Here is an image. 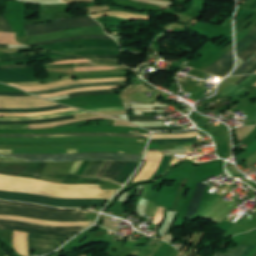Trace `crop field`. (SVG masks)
Instances as JSON below:
<instances>
[{
  "instance_id": "crop-field-1",
  "label": "crop field",
  "mask_w": 256,
  "mask_h": 256,
  "mask_svg": "<svg viewBox=\"0 0 256 256\" xmlns=\"http://www.w3.org/2000/svg\"><path fill=\"white\" fill-rule=\"evenodd\" d=\"M0 189L60 198L110 199L117 190H100L95 185H64L46 181L0 175Z\"/></svg>"
},
{
  "instance_id": "crop-field-2",
  "label": "crop field",
  "mask_w": 256,
  "mask_h": 256,
  "mask_svg": "<svg viewBox=\"0 0 256 256\" xmlns=\"http://www.w3.org/2000/svg\"><path fill=\"white\" fill-rule=\"evenodd\" d=\"M28 158V162H57L74 160H129L140 162L143 155L88 153V154H37V155H0ZM0 157L1 162H27V159Z\"/></svg>"
},
{
  "instance_id": "crop-field-3",
  "label": "crop field",
  "mask_w": 256,
  "mask_h": 256,
  "mask_svg": "<svg viewBox=\"0 0 256 256\" xmlns=\"http://www.w3.org/2000/svg\"><path fill=\"white\" fill-rule=\"evenodd\" d=\"M0 199L31 202L35 204L49 205L54 207H88L101 206L105 204V200L101 199H60L32 194L12 193L6 191H0Z\"/></svg>"
},
{
  "instance_id": "crop-field-4",
  "label": "crop field",
  "mask_w": 256,
  "mask_h": 256,
  "mask_svg": "<svg viewBox=\"0 0 256 256\" xmlns=\"http://www.w3.org/2000/svg\"><path fill=\"white\" fill-rule=\"evenodd\" d=\"M0 214L18 215L51 221H86V213L46 212L10 206H0Z\"/></svg>"
},
{
  "instance_id": "crop-field-5",
  "label": "crop field",
  "mask_w": 256,
  "mask_h": 256,
  "mask_svg": "<svg viewBox=\"0 0 256 256\" xmlns=\"http://www.w3.org/2000/svg\"><path fill=\"white\" fill-rule=\"evenodd\" d=\"M101 26L93 18L86 16L80 18L65 19L57 22L25 26L28 36L62 31L73 27Z\"/></svg>"
},
{
  "instance_id": "crop-field-6",
  "label": "crop field",
  "mask_w": 256,
  "mask_h": 256,
  "mask_svg": "<svg viewBox=\"0 0 256 256\" xmlns=\"http://www.w3.org/2000/svg\"><path fill=\"white\" fill-rule=\"evenodd\" d=\"M72 236L64 237H50L46 235H32L28 236V253L33 256L32 250L36 251L35 255L46 254L56 250L58 247L57 242L67 240Z\"/></svg>"
},
{
  "instance_id": "crop-field-7",
  "label": "crop field",
  "mask_w": 256,
  "mask_h": 256,
  "mask_svg": "<svg viewBox=\"0 0 256 256\" xmlns=\"http://www.w3.org/2000/svg\"><path fill=\"white\" fill-rule=\"evenodd\" d=\"M126 80V77L113 78V79H95V80H79L73 81L72 76L62 77V80H57L49 83H14L11 85L18 86L27 91H36V90H47L55 87H61L66 85L86 83V82H112V81H123Z\"/></svg>"
},
{
  "instance_id": "crop-field-8",
  "label": "crop field",
  "mask_w": 256,
  "mask_h": 256,
  "mask_svg": "<svg viewBox=\"0 0 256 256\" xmlns=\"http://www.w3.org/2000/svg\"><path fill=\"white\" fill-rule=\"evenodd\" d=\"M58 105L36 97H0V108H38Z\"/></svg>"
},
{
  "instance_id": "crop-field-9",
  "label": "crop field",
  "mask_w": 256,
  "mask_h": 256,
  "mask_svg": "<svg viewBox=\"0 0 256 256\" xmlns=\"http://www.w3.org/2000/svg\"><path fill=\"white\" fill-rule=\"evenodd\" d=\"M138 165L139 163L137 162L112 161L104 177L112 178L115 181L124 184Z\"/></svg>"
},
{
  "instance_id": "crop-field-10",
  "label": "crop field",
  "mask_w": 256,
  "mask_h": 256,
  "mask_svg": "<svg viewBox=\"0 0 256 256\" xmlns=\"http://www.w3.org/2000/svg\"><path fill=\"white\" fill-rule=\"evenodd\" d=\"M91 34L106 35L102 27L78 28V29L69 30L65 32L30 37L26 44H30L34 42H45V41L64 38V37H71V36H78V35H91Z\"/></svg>"
},
{
  "instance_id": "crop-field-11",
  "label": "crop field",
  "mask_w": 256,
  "mask_h": 256,
  "mask_svg": "<svg viewBox=\"0 0 256 256\" xmlns=\"http://www.w3.org/2000/svg\"><path fill=\"white\" fill-rule=\"evenodd\" d=\"M83 46L119 47V45L115 41L80 40V41L41 46L36 48L56 51L64 48L83 47Z\"/></svg>"
},
{
  "instance_id": "crop-field-12",
  "label": "crop field",
  "mask_w": 256,
  "mask_h": 256,
  "mask_svg": "<svg viewBox=\"0 0 256 256\" xmlns=\"http://www.w3.org/2000/svg\"><path fill=\"white\" fill-rule=\"evenodd\" d=\"M57 136H123L148 138V134H116V133H74V134H26V135H12L0 134V137H57Z\"/></svg>"
},
{
  "instance_id": "crop-field-13",
  "label": "crop field",
  "mask_w": 256,
  "mask_h": 256,
  "mask_svg": "<svg viewBox=\"0 0 256 256\" xmlns=\"http://www.w3.org/2000/svg\"><path fill=\"white\" fill-rule=\"evenodd\" d=\"M75 144H119L145 146L146 144L111 141H72V142H0V145H75Z\"/></svg>"
},
{
  "instance_id": "crop-field-14",
  "label": "crop field",
  "mask_w": 256,
  "mask_h": 256,
  "mask_svg": "<svg viewBox=\"0 0 256 256\" xmlns=\"http://www.w3.org/2000/svg\"><path fill=\"white\" fill-rule=\"evenodd\" d=\"M0 219H9V220H17V221H25L31 223H38L44 225H57V226H82V225H92L94 221L88 222H50L38 219H30V218H23L17 216H9V215H0Z\"/></svg>"
},
{
  "instance_id": "crop-field-15",
  "label": "crop field",
  "mask_w": 256,
  "mask_h": 256,
  "mask_svg": "<svg viewBox=\"0 0 256 256\" xmlns=\"http://www.w3.org/2000/svg\"><path fill=\"white\" fill-rule=\"evenodd\" d=\"M205 188L206 185L198 183L185 218L191 219L197 213Z\"/></svg>"
},
{
  "instance_id": "crop-field-16",
  "label": "crop field",
  "mask_w": 256,
  "mask_h": 256,
  "mask_svg": "<svg viewBox=\"0 0 256 256\" xmlns=\"http://www.w3.org/2000/svg\"><path fill=\"white\" fill-rule=\"evenodd\" d=\"M0 223L1 224H9V225H18V226H24V227H30V228L53 230V231L82 230V229H85L86 227H88V226H85V227H54V226L35 225V224H29V223H24V222L7 221V220H0Z\"/></svg>"
},
{
  "instance_id": "crop-field-17",
  "label": "crop field",
  "mask_w": 256,
  "mask_h": 256,
  "mask_svg": "<svg viewBox=\"0 0 256 256\" xmlns=\"http://www.w3.org/2000/svg\"><path fill=\"white\" fill-rule=\"evenodd\" d=\"M0 205L23 206V207H29V208L38 209V210L58 211V212H87V210H83V209H58V208H53L48 206L10 202V201H0Z\"/></svg>"
},
{
  "instance_id": "crop-field-18",
  "label": "crop field",
  "mask_w": 256,
  "mask_h": 256,
  "mask_svg": "<svg viewBox=\"0 0 256 256\" xmlns=\"http://www.w3.org/2000/svg\"><path fill=\"white\" fill-rule=\"evenodd\" d=\"M14 249L17 253L28 256L27 254V234L23 232H13Z\"/></svg>"
},
{
  "instance_id": "crop-field-19",
  "label": "crop field",
  "mask_w": 256,
  "mask_h": 256,
  "mask_svg": "<svg viewBox=\"0 0 256 256\" xmlns=\"http://www.w3.org/2000/svg\"><path fill=\"white\" fill-rule=\"evenodd\" d=\"M126 84V81L124 82H112V83H86V84H79V85H72L68 87H63L55 90H48V91H40V92H32L34 95H41V94H50V93H56L64 90H70V89H76V88H82V87H90V86H105V85H121Z\"/></svg>"
},
{
  "instance_id": "crop-field-20",
  "label": "crop field",
  "mask_w": 256,
  "mask_h": 256,
  "mask_svg": "<svg viewBox=\"0 0 256 256\" xmlns=\"http://www.w3.org/2000/svg\"><path fill=\"white\" fill-rule=\"evenodd\" d=\"M0 229H13V230H18V231L40 233V234H46V235H51V236L75 235L78 232H80V231H74V232H52V231H46V230L29 229V228H23V227H17V226H9V225H0Z\"/></svg>"
},
{
  "instance_id": "crop-field-21",
  "label": "crop field",
  "mask_w": 256,
  "mask_h": 256,
  "mask_svg": "<svg viewBox=\"0 0 256 256\" xmlns=\"http://www.w3.org/2000/svg\"><path fill=\"white\" fill-rule=\"evenodd\" d=\"M233 59V49L229 50L224 56L218 59L216 62L207 67L204 72L208 73H216L220 69H222L225 65H227Z\"/></svg>"
},
{
  "instance_id": "crop-field-22",
  "label": "crop field",
  "mask_w": 256,
  "mask_h": 256,
  "mask_svg": "<svg viewBox=\"0 0 256 256\" xmlns=\"http://www.w3.org/2000/svg\"><path fill=\"white\" fill-rule=\"evenodd\" d=\"M255 75H251L249 78H247L243 83H241L239 86L236 84H231L229 87H227L219 96L223 95H231V96H240L241 94L247 92L242 87L248 83L250 80H252Z\"/></svg>"
},
{
  "instance_id": "crop-field-23",
  "label": "crop field",
  "mask_w": 256,
  "mask_h": 256,
  "mask_svg": "<svg viewBox=\"0 0 256 256\" xmlns=\"http://www.w3.org/2000/svg\"><path fill=\"white\" fill-rule=\"evenodd\" d=\"M79 39H112V38H110L108 36H101V35L78 36V37L54 40V41L45 42V43L32 44V45H28V46L36 47V46H41V45H46V44L67 42V41H73V40H79Z\"/></svg>"
},
{
  "instance_id": "crop-field-24",
  "label": "crop field",
  "mask_w": 256,
  "mask_h": 256,
  "mask_svg": "<svg viewBox=\"0 0 256 256\" xmlns=\"http://www.w3.org/2000/svg\"><path fill=\"white\" fill-rule=\"evenodd\" d=\"M108 15L119 16V17L131 19V20H148L149 19V17L147 16H139V15H133V14H127V13H121V12H105L100 14H93L92 16L94 18H98V17H104Z\"/></svg>"
},
{
  "instance_id": "crop-field-25",
  "label": "crop field",
  "mask_w": 256,
  "mask_h": 256,
  "mask_svg": "<svg viewBox=\"0 0 256 256\" xmlns=\"http://www.w3.org/2000/svg\"><path fill=\"white\" fill-rule=\"evenodd\" d=\"M70 108L62 105L52 106L47 108H38V109H0V112H41V111H50L57 109Z\"/></svg>"
},
{
  "instance_id": "crop-field-26",
  "label": "crop field",
  "mask_w": 256,
  "mask_h": 256,
  "mask_svg": "<svg viewBox=\"0 0 256 256\" xmlns=\"http://www.w3.org/2000/svg\"><path fill=\"white\" fill-rule=\"evenodd\" d=\"M104 161H91L82 176L96 177Z\"/></svg>"
},
{
  "instance_id": "crop-field-27",
  "label": "crop field",
  "mask_w": 256,
  "mask_h": 256,
  "mask_svg": "<svg viewBox=\"0 0 256 256\" xmlns=\"http://www.w3.org/2000/svg\"><path fill=\"white\" fill-rule=\"evenodd\" d=\"M256 39V27L237 45V55Z\"/></svg>"
},
{
  "instance_id": "crop-field-28",
  "label": "crop field",
  "mask_w": 256,
  "mask_h": 256,
  "mask_svg": "<svg viewBox=\"0 0 256 256\" xmlns=\"http://www.w3.org/2000/svg\"><path fill=\"white\" fill-rule=\"evenodd\" d=\"M122 90H103V91H93V92H82V93H72L69 94L70 98L74 97H84V96H94V95H102V94H110V93H121Z\"/></svg>"
},
{
  "instance_id": "crop-field-29",
  "label": "crop field",
  "mask_w": 256,
  "mask_h": 256,
  "mask_svg": "<svg viewBox=\"0 0 256 256\" xmlns=\"http://www.w3.org/2000/svg\"><path fill=\"white\" fill-rule=\"evenodd\" d=\"M256 64V53L252 55L239 69H237L231 76L246 74L247 71Z\"/></svg>"
},
{
  "instance_id": "crop-field-30",
  "label": "crop field",
  "mask_w": 256,
  "mask_h": 256,
  "mask_svg": "<svg viewBox=\"0 0 256 256\" xmlns=\"http://www.w3.org/2000/svg\"><path fill=\"white\" fill-rule=\"evenodd\" d=\"M157 249H151L148 247H137L134 248L130 254L134 256H152Z\"/></svg>"
},
{
  "instance_id": "crop-field-31",
  "label": "crop field",
  "mask_w": 256,
  "mask_h": 256,
  "mask_svg": "<svg viewBox=\"0 0 256 256\" xmlns=\"http://www.w3.org/2000/svg\"><path fill=\"white\" fill-rule=\"evenodd\" d=\"M173 159L172 156H164L163 164L159 171L155 174V176L152 179H156L158 176L164 174L169 167H171L170 162Z\"/></svg>"
},
{
  "instance_id": "crop-field-32",
  "label": "crop field",
  "mask_w": 256,
  "mask_h": 256,
  "mask_svg": "<svg viewBox=\"0 0 256 256\" xmlns=\"http://www.w3.org/2000/svg\"><path fill=\"white\" fill-rule=\"evenodd\" d=\"M16 34L0 32V43L3 44H18L14 37Z\"/></svg>"
},
{
  "instance_id": "crop-field-33",
  "label": "crop field",
  "mask_w": 256,
  "mask_h": 256,
  "mask_svg": "<svg viewBox=\"0 0 256 256\" xmlns=\"http://www.w3.org/2000/svg\"><path fill=\"white\" fill-rule=\"evenodd\" d=\"M254 52H256V41L253 42L248 48H246L240 55L237 57L241 58L242 60L248 59Z\"/></svg>"
},
{
  "instance_id": "crop-field-34",
  "label": "crop field",
  "mask_w": 256,
  "mask_h": 256,
  "mask_svg": "<svg viewBox=\"0 0 256 256\" xmlns=\"http://www.w3.org/2000/svg\"><path fill=\"white\" fill-rule=\"evenodd\" d=\"M63 56H69V55H64V54H59L51 57H41L29 61H16V62H8V63H0V66L4 65H10V64H22V63H28V62H34V61H41V60H47V59H53V58H58V57H63Z\"/></svg>"
},
{
  "instance_id": "crop-field-35",
  "label": "crop field",
  "mask_w": 256,
  "mask_h": 256,
  "mask_svg": "<svg viewBox=\"0 0 256 256\" xmlns=\"http://www.w3.org/2000/svg\"><path fill=\"white\" fill-rule=\"evenodd\" d=\"M80 50H110V51H120V48H101V47H90V48H73V49H65L57 52L65 53L71 51H80Z\"/></svg>"
},
{
  "instance_id": "crop-field-36",
  "label": "crop field",
  "mask_w": 256,
  "mask_h": 256,
  "mask_svg": "<svg viewBox=\"0 0 256 256\" xmlns=\"http://www.w3.org/2000/svg\"><path fill=\"white\" fill-rule=\"evenodd\" d=\"M158 144H166V143H181V142H198L196 137L188 138V139H168V140H156Z\"/></svg>"
},
{
  "instance_id": "crop-field-37",
  "label": "crop field",
  "mask_w": 256,
  "mask_h": 256,
  "mask_svg": "<svg viewBox=\"0 0 256 256\" xmlns=\"http://www.w3.org/2000/svg\"><path fill=\"white\" fill-rule=\"evenodd\" d=\"M127 73L122 74H110V75H89V76H75L77 79H92V78H111V77H120L126 76Z\"/></svg>"
},
{
  "instance_id": "crop-field-38",
  "label": "crop field",
  "mask_w": 256,
  "mask_h": 256,
  "mask_svg": "<svg viewBox=\"0 0 256 256\" xmlns=\"http://www.w3.org/2000/svg\"><path fill=\"white\" fill-rule=\"evenodd\" d=\"M71 118H75V116L59 118V119H52V120H44V121H33V122H0V124H35V123H46V122L71 119Z\"/></svg>"
},
{
  "instance_id": "crop-field-39",
  "label": "crop field",
  "mask_w": 256,
  "mask_h": 256,
  "mask_svg": "<svg viewBox=\"0 0 256 256\" xmlns=\"http://www.w3.org/2000/svg\"><path fill=\"white\" fill-rule=\"evenodd\" d=\"M120 52H109V51H91V52H72L66 53L71 55H83V54H104V55H119Z\"/></svg>"
},
{
  "instance_id": "crop-field-40",
  "label": "crop field",
  "mask_w": 256,
  "mask_h": 256,
  "mask_svg": "<svg viewBox=\"0 0 256 256\" xmlns=\"http://www.w3.org/2000/svg\"><path fill=\"white\" fill-rule=\"evenodd\" d=\"M129 121H155V116H128Z\"/></svg>"
},
{
  "instance_id": "crop-field-41",
  "label": "crop field",
  "mask_w": 256,
  "mask_h": 256,
  "mask_svg": "<svg viewBox=\"0 0 256 256\" xmlns=\"http://www.w3.org/2000/svg\"><path fill=\"white\" fill-rule=\"evenodd\" d=\"M53 54H59V53L51 52V53L40 54V55H34V56H28V57H22V58H4V59H0V61H5V60H10V61H15V60H28V59H30V58L41 57V56H45V55H53Z\"/></svg>"
},
{
  "instance_id": "crop-field-42",
  "label": "crop field",
  "mask_w": 256,
  "mask_h": 256,
  "mask_svg": "<svg viewBox=\"0 0 256 256\" xmlns=\"http://www.w3.org/2000/svg\"><path fill=\"white\" fill-rule=\"evenodd\" d=\"M0 31L13 32L12 28L10 27L6 19L0 18Z\"/></svg>"
},
{
  "instance_id": "crop-field-43",
  "label": "crop field",
  "mask_w": 256,
  "mask_h": 256,
  "mask_svg": "<svg viewBox=\"0 0 256 256\" xmlns=\"http://www.w3.org/2000/svg\"><path fill=\"white\" fill-rule=\"evenodd\" d=\"M116 68H108V67H81L75 68V71H96V70H110Z\"/></svg>"
},
{
  "instance_id": "crop-field-44",
  "label": "crop field",
  "mask_w": 256,
  "mask_h": 256,
  "mask_svg": "<svg viewBox=\"0 0 256 256\" xmlns=\"http://www.w3.org/2000/svg\"><path fill=\"white\" fill-rule=\"evenodd\" d=\"M232 68H233V60L226 67H224L222 70L217 72L215 75L224 77L232 70Z\"/></svg>"
},
{
  "instance_id": "crop-field-45",
  "label": "crop field",
  "mask_w": 256,
  "mask_h": 256,
  "mask_svg": "<svg viewBox=\"0 0 256 256\" xmlns=\"http://www.w3.org/2000/svg\"><path fill=\"white\" fill-rule=\"evenodd\" d=\"M246 246L238 245L234 250L231 251L229 256H241Z\"/></svg>"
},
{
  "instance_id": "crop-field-46",
  "label": "crop field",
  "mask_w": 256,
  "mask_h": 256,
  "mask_svg": "<svg viewBox=\"0 0 256 256\" xmlns=\"http://www.w3.org/2000/svg\"><path fill=\"white\" fill-rule=\"evenodd\" d=\"M29 125H0V129H27Z\"/></svg>"
},
{
  "instance_id": "crop-field-47",
  "label": "crop field",
  "mask_w": 256,
  "mask_h": 256,
  "mask_svg": "<svg viewBox=\"0 0 256 256\" xmlns=\"http://www.w3.org/2000/svg\"><path fill=\"white\" fill-rule=\"evenodd\" d=\"M149 130H169V131H182V127H168V128H147Z\"/></svg>"
},
{
  "instance_id": "crop-field-48",
  "label": "crop field",
  "mask_w": 256,
  "mask_h": 256,
  "mask_svg": "<svg viewBox=\"0 0 256 256\" xmlns=\"http://www.w3.org/2000/svg\"><path fill=\"white\" fill-rule=\"evenodd\" d=\"M111 161H105L104 165L102 166L100 172L98 173L97 177H103L104 173L106 172L108 166L110 165Z\"/></svg>"
},
{
  "instance_id": "crop-field-49",
  "label": "crop field",
  "mask_w": 256,
  "mask_h": 256,
  "mask_svg": "<svg viewBox=\"0 0 256 256\" xmlns=\"http://www.w3.org/2000/svg\"><path fill=\"white\" fill-rule=\"evenodd\" d=\"M81 57L86 58H110V59H117L118 56H103V55H83Z\"/></svg>"
},
{
  "instance_id": "crop-field-50",
  "label": "crop field",
  "mask_w": 256,
  "mask_h": 256,
  "mask_svg": "<svg viewBox=\"0 0 256 256\" xmlns=\"http://www.w3.org/2000/svg\"><path fill=\"white\" fill-rule=\"evenodd\" d=\"M20 53H0V57H22Z\"/></svg>"
},
{
  "instance_id": "crop-field-51",
  "label": "crop field",
  "mask_w": 256,
  "mask_h": 256,
  "mask_svg": "<svg viewBox=\"0 0 256 256\" xmlns=\"http://www.w3.org/2000/svg\"><path fill=\"white\" fill-rule=\"evenodd\" d=\"M0 95H10V96H31L26 92H19V93H0Z\"/></svg>"
},
{
  "instance_id": "crop-field-52",
  "label": "crop field",
  "mask_w": 256,
  "mask_h": 256,
  "mask_svg": "<svg viewBox=\"0 0 256 256\" xmlns=\"http://www.w3.org/2000/svg\"><path fill=\"white\" fill-rule=\"evenodd\" d=\"M22 67H29V65L25 64V65L4 66V67H0V69H11V68H22Z\"/></svg>"
},
{
  "instance_id": "crop-field-53",
  "label": "crop field",
  "mask_w": 256,
  "mask_h": 256,
  "mask_svg": "<svg viewBox=\"0 0 256 256\" xmlns=\"http://www.w3.org/2000/svg\"><path fill=\"white\" fill-rule=\"evenodd\" d=\"M82 161H78V162H75L74 166L72 167V169L70 170L71 173H74L78 170V168L80 167Z\"/></svg>"
},
{
  "instance_id": "crop-field-54",
  "label": "crop field",
  "mask_w": 256,
  "mask_h": 256,
  "mask_svg": "<svg viewBox=\"0 0 256 256\" xmlns=\"http://www.w3.org/2000/svg\"><path fill=\"white\" fill-rule=\"evenodd\" d=\"M75 59H83V58L69 56V57H63V58L55 59V61H60V60H75Z\"/></svg>"
},
{
  "instance_id": "crop-field-55",
  "label": "crop field",
  "mask_w": 256,
  "mask_h": 256,
  "mask_svg": "<svg viewBox=\"0 0 256 256\" xmlns=\"http://www.w3.org/2000/svg\"><path fill=\"white\" fill-rule=\"evenodd\" d=\"M254 249V246L249 245L247 249L244 251L242 256H248V254Z\"/></svg>"
},
{
  "instance_id": "crop-field-56",
  "label": "crop field",
  "mask_w": 256,
  "mask_h": 256,
  "mask_svg": "<svg viewBox=\"0 0 256 256\" xmlns=\"http://www.w3.org/2000/svg\"><path fill=\"white\" fill-rule=\"evenodd\" d=\"M90 62H115L117 63L116 60H94V59H88Z\"/></svg>"
},
{
  "instance_id": "crop-field-57",
  "label": "crop field",
  "mask_w": 256,
  "mask_h": 256,
  "mask_svg": "<svg viewBox=\"0 0 256 256\" xmlns=\"http://www.w3.org/2000/svg\"><path fill=\"white\" fill-rule=\"evenodd\" d=\"M95 65H108V66H119V64H113V63H93Z\"/></svg>"
},
{
  "instance_id": "crop-field-58",
  "label": "crop field",
  "mask_w": 256,
  "mask_h": 256,
  "mask_svg": "<svg viewBox=\"0 0 256 256\" xmlns=\"http://www.w3.org/2000/svg\"><path fill=\"white\" fill-rule=\"evenodd\" d=\"M79 66H95V65H92L91 63H79V64H75V67H79Z\"/></svg>"
},
{
  "instance_id": "crop-field-59",
  "label": "crop field",
  "mask_w": 256,
  "mask_h": 256,
  "mask_svg": "<svg viewBox=\"0 0 256 256\" xmlns=\"http://www.w3.org/2000/svg\"><path fill=\"white\" fill-rule=\"evenodd\" d=\"M254 83H256V78H254L251 82H249L246 86H244V88H249L250 86H252Z\"/></svg>"
},
{
  "instance_id": "crop-field-60",
  "label": "crop field",
  "mask_w": 256,
  "mask_h": 256,
  "mask_svg": "<svg viewBox=\"0 0 256 256\" xmlns=\"http://www.w3.org/2000/svg\"><path fill=\"white\" fill-rule=\"evenodd\" d=\"M145 165V163H143V165H142V167H141V169L143 168V166ZM140 169V170H141ZM140 170L135 174V176L130 180V182L127 184V186H129L130 187V185H131V183H132V181H133V179L136 177V175L140 172Z\"/></svg>"
},
{
  "instance_id": "crop-field-61",
  "label": "crop field",
  "mask_w": 256,
  "mask_h": 256,
  "mask_svg": "<svg viewBox=\"0 0 256 256\" xmlns=\"http://www.w3.org/2000/svg\"><path fill=\"white\" fill-rule=\"evenodd\" d=\"M255 70H256V65L252 67L247 74H253Z\"/></svg>"
},
{
  "instance_id": "crop-field-62",
  "label": "crop field",
  "mask_w": 256,
  "mask_h": 256,
  "mask_svg": "<svg viewBox=\"0 0 256 256\" xmlns=\"http://www.w3.org/2000/svg\"><path fill=\"white\" fill-rule=\"evenodd\" d=\"M250 76V75H248ZM248 76H244L243 78H241L238 82H236V84H240L241 82H243Z\"/></svg>"
},
{
  "instance_id": "crop-field-63",
  "label": "crop field",
  "mask_w": 256,
  "mask_h": 256,
  "mask_svg": "<svg viewBox=\"0 0 256 256\" xmlns=\"http://www.w3.org/2000/svg\"><path fill=\"white\" fill-rule=\"evenodd\" d=\"M170 1L182 2V3H187L188 2V0H170Z\"/></svg>"
},
{
  "instance_id": "crop-field-64",
  "label": "crop field",
  "mask_w": 256,
  "mask_h": 256,
  "mask_svg": "<svg viewBox=\"0 0 256 256\" xmlns=\"http://www.w3.org/2000/svg\"><path fill=\"white\" fill-rule=\"evenodd\" d=\"M29 50H37V49H34V48H31V49H18V52H21V51H29Z\"/></svg>"
},
{
  "instance_id": "crop-field-65",
  "label": "crop field",
  "mask_w": 256,
  "mask_h": 256,
  "mask_svg": "<svg viewBox=\"0 0 256 256\" xmlns=\"http://www.w3.org/2000/svg\"><path fill=\"white\" fill-rule=\"evenodd\" d=\"M229 252H230V250L226 254L219 252L217 256H227L229 254Z\"/></svg>"
},
{
  "instance_id": "crop-field-66",
  "label": "crop field",
  "mask_w": 256,
  "mask_h": 256,
  "mask_svg": "<svg viewBox=\"0 0 256 256\" xmlns=\"http://www.w3.org/2000/svg\"><path fill=\"white\" fill-rule=\"evenodd\" d=\"M249 121H256V115L252 117Z\"/></svg>"
},
{
  "instance_id": "crop-field-67",
  "label": "crop field",
  "mask_w": 256,
  "mask_h": 256,
  "mask_svg": "<svg viewBox=\"0 0 256 256\" xmlns=\"http://www.w3.org/2000/svg\"><path fill=\"white\" fill-rule=\"evenodd\" d=\"M0 48H8V45H0Z\"/></svg>"
},
{
  "instance_id": "crop-field-68",
  "label": "crop field",
  "mask_w": 256,
  "mask_h": 256,
  "mask_svg": "<svg viewBox=\"0 0 256 256\" xmlns=\"http://www.w3.org/2000/svg\"><path fill=\"white\" fill-rule=\"evenodd\" d=\"M254 85H256V84H254Z\"/></svg>"
},
{
  "instance_id": "crop-field-69",
  "label": "crop field",
  "mask_w": 256,
  "mask_h": 256,
  "mask_svg": "<svg viewBox=\"0 0 256 256\" xmlns=\"http://www.w3.org/2000/svg\"><path fill=\"white\" fill-rule=\"evenodd\" d=\"M255 73H256V72H255ZM255 73H254V74H255Z\"/></svg>"
},
{
  "instance_id": "crop-field-70",
  "label": "crop field",
  "mask_w": 256,
  "mask_h": 256,
  "mask_svg": "<svg viewBox=\"0 0 256 256\" xmlns=\"http://www.w3.org/2000/svg\"><path fill=\"white\" fill-rule=\"evenodd\" d=\"M89 256V255H88Z\"/></svg>"
},
{
  "instance_id": "crop-field-71",
  "label": "crop field",
  "mask_w": 256,
  "mask_h": 256,
  "mask_svg": "<svg viewBox=\"0 0 256 256\" xmlns=\"http://www.w3.org/2000/svg\"><path fill=\"white\" fill-rule=\"evenodd\" d=\"M256 256V255H255Z\"/></svg>"
},
{
  "instance_id": "crop-field-72",
  "label": "crop field",
  "mask_w": 256,
  "mask_h": 256,
  "mask_svg": "<svg viewBox=\"0 0 256 256\" xmlns=\"http://www.w3.org/2000/svg\"><path fill=\"white\" fill-rule=\"evenodd\" d=\"M86 256V255H85Z\"/></svg>"
}]
</instances>
